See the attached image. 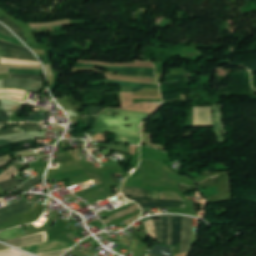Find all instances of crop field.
I'll return each instance as SVG.
<instances>
[{"instance_id": "crop-field-1", "label": "crop field", "mask_w": 256, "mask_h": 256, "mask_svg": "<svg viewBox=\"0 0 256 256\" xmlns=\"http://www.w3.org/2000/svg\"><path fill=\"white\" fill-rule=\"evenodd\" d=\"M149 116L133 111L107 110L98 117V132L117 134L115 142L138 145L140 124Z\"/></svg>"}, {"instance_id": "crop-field-2", "label": "crop field", "mask_w": 256, "mask_h": 256, "mask_svg": "<svg viewBox=\"0 0 256 256\" xmlns=\"http://www.w3.org/2000/svg\"><path fill=\"white\" fill-rule=\"evenodd\" d=\"M46 206L35 203L34 207L26 213L18 216L5 218L0 220V231L23 224L33 223L38 220Z\"/></svg>"}, {"instance_id": "crop-field-3", "label": "crop field", "mask_w": 256, "mask_h": 256, "mask_svg": "<svg viewBox=\"0 0 256 256\" xmlns=\"http://www.w3.org/2000/svg\"><path fill=\"white\" fill-rule=\"evenodd\" d=\"M149 191L144 190L143 198L134 197L131 200L136 201L142 208H154V207H176L185 208L184 201H165L158 199H148Z\"/></svg>"}, {"instance_id": "crop-field-4", "label": "crop field", "mask_w": 256, "mask_h": 256, "mask_svg": "<svg viewBox=\"0 0 256 256\" xmlns=\"http://www.w3.org/2000/svg\"><path fill=\"white\" fill-rule=\"evenodd\" d=\"M45 87V82L25 81L8 79L5 80L4 88H16L39 93Z\"/></svg>"}, {"instance_id": "crop-field-5", "label": "crop field", "mask_w": 256, "mask_h": 256, "mask_svg": "<svg viewBox=\"0 0 256 256\" xmlns=\"http://www.w3.org/2000/svg\"><path fill=\"white\" fill-rule=\"evenodd\" d=\"M213 125L211 107H193V126Z\"/></svg>"}, {"instance_id": "crop-field-6", "label": "crop field", "mask_w": 256, "mask_h": 256, "mask_svg": "<svg viewBox=\"0 0 256 256\" xmlns=\"http://www.w3.org/2000/svg\"><path fill=\"white\" fill-rule=\"evenodd\" d=\"M34 203L35 202L20 201L12 206L2 208L0 209V219L29 211Z\"/></svg>"}, {"instance_id": "crop-field-7", "label": "crop field", "mask_w": 256, "mask_h": 256, "mask_svg": "<svg viewBox=\"0 0 256 256\" xmlns=\"http://www.w3.org/2000/svg\"><path fill=\"white\" fill-rule=\"evenodd\" d=\"M192 221L191 217H184L182 228V244L181 253L190 251L191 233H192Z\"/></svg>"}, {"instance_id": "crop-field-8", "label": "crop field", "mask_w": 256, "mask_h": 256, "mask_svg": "<svg viewBox=\"0 0 256 256\" xmlns=\"http://www.w3.org/2000/svg\"><path fill=\"white\" fill-rule=\"evenodd\" d=\"M43 235H44V242H45L47 241V235L45 232L43 233ZM43 235L42 234L37 236L30 235V236H26V237H22V238L10 240V241H5V242L11 245H14L16 247H21V246L43 242Z\"/></svg>"}, {"instance_id": "crop-field-9", "label": "crop field", "mask_w": 256, "mask_h": 256, "mask_svg": "<svg viewBox=\"0 0 256 256\" xmlns=\"http://www.w3.org/2000/svg\"><path fill=\"white\" fill-rule=\"evenodd\" d=\"M11 74L44 75L41 66L10 65Z\"/></svg>"}, {"instance_id": "crop-field-10", "label": "crop field", "mask_w": 256, "mask_h": 256, "mask_svg": "<svg viewBox=\"0 0 256 256\" xmlns=\"http://www.w3.org/2000/svg\"><path fill=\"white\" fill-rule=\"evenodd\" d=\"M0 57L14 58L21 60H37L33 54L18 52L0 47Z\"/></svg>"}, {"instance_id": "crop-field-11", "label": "crop field", "mask_w": 256, "mask_h": 256, "mask_svg": "<svg viewBox=\"0 0 256 256\" xmlns=\"http://www.w3.org/2000/svg\"><path fill=\"white\" fill-rule=\"evenodd\" d=\"M183 216H173V245L181 243V228Z\"/></svg>"}, {"instance_id": "crop-field-12", "label": "crop field", "mask_w": 256, "mask_h": 256, "mask_svg": "<svg viewBox=\"0 0 256 256\" xmlns=\"http://www.w3.org/2000/svg\"><path fill=\"white\" fill-rule=\"evenodd\" d=\"M35 130H40L39 124L25 123V124H21V127L14 128L2 133L4 135V134H10V133L29 132V131H35Z\"/></svg>"}, {"instance_id": "crop-field-13", "label": "crop field", "mask_w": 256, "mask_h": 256, "mask_svg": "<svg viewBox=\"0 0 256 256\" xmlns=\"http://www.w3.org/2000/svg\"><path fill=\"white\" fill-rule=\"evenodd\" d=\"M116 72L120 75H125V76H134V77H145V78H156L154 76V73H149V72H138V71H120V70H109Z\"/></svg>"}, {"instance_id": "crop-field-14", "label": "crop field", "mask_w": 256, "mask_h": 256, "mask_svg": "<svg viewBox=\"0 0 256 256\" xmlns=\"http://www.w3.org/2000/svg\"><path fill=\"white\" fill-rule=\"evenodd\" d=\"M20 184H21L20 179L15 180V179L11 178L10 180H8L6 182L0 183V187L5 193H7L9 191H12V190L18 188L20 186Z\"/></svg>"}, {"instance_id": "crop-field-15", "label": "crop field", "mask_w": 256, "mask_h": 256, "mask_svg": "<svg viewBox=\"0 0 256 256\" xmlns=\"http://www.w3.org/2000/svg\"><path fill=\"white\" fill-rule=\"evenodd\" d=\"M1 21H3L5 24H7L24 42L28 41L23 35H25V33L23 32V30L18 27L16 24H14L13 22H11L10 20H8L6 17H1L0 18Z\"/></svg>"}, {"instance_id": "crop-field-16", "label": "crop field", "mask_w": 256, "mask_h": 256, "mask_svg": "<svg viewBox=\"0 0 256 256\" xmlns=\"http://www.w3.org/2000/svg\"><path fill=\"white\" fill-rule=\"evenodd\" d=\"M161 219L155 220V231L158 242L162 243V235H163V216H160Z\"/></svg>"}, {"instance_id": "crop-field-17", "label": "crop field", "mask_w": 256, "mask_h": 256, "mask_svg": "<svg viewBox=\"0 0 256 256\" xmlns=\"http://www.w3.org/2000/svg\"><path fill=\"white\" fill-rule=\"evenodd\" d=\"M101 145L103 148H106L108 150L129 154V147H126L125 145L119 144V146H117V145L103 144V143H101Z\"/></svg>"}, {"instance_id": "crop-field-18", "label": "crop field", "mask_w": 256, "mask_h": 256, "mask_svg": "<svg viewBox=\"0 0 256 256\" xmlns=\"http://www.w3.org/2000/svg\"><path fill=\"white\" fill-rule=\"evenodd\" d=\"M122 192L125 195V197H128V196L142 197L143 190L138 188H122Z\"/></svg>"}, {"instance_id": "crop-field-19", "label": "crop field", "mask_w": 256, "mask_h": 256, "mask_svg": "<svg viewBox=\"0 0 256 256\" xmlns=\"http://www.w3.org/2000/svg\"><path fill=\"white\" fill-rule=\"evenodd\" d=\"M1 63L20 64V65H40L39 62L20 61V60H13V59H1Z\"/></svg>"}, {"instance_id": "crop-field-20", "label": "crop field", "mask_w": 256, "mask_h": 256, "mask_svg": "<svg viewBox=\"0 0 256 256\" xmlns=\"http://www.w3.org/2000/svg\"><path fill=\"white\" fill-rule=\"evenodd\" d=\"M97 65H76L75 68H83V67H96ZM107 69H124V70H138V71H149L154 72L155 69H142V68H115V67H107Z\"/></svg>"}, {"instance_id": "crop-field-21", "label": "crop field", "mask_w": 256, "mask_h": 256, "mask_svg": "<svg viewBox=\"0 0 256 256\" xmlns=\"http://www.w3.org/2000/svg\"><path fill=\"white\" fill-rule=\"evenodd\" d=\"M46 115L30 113L29 119L20 118L21 121H32V122H41V120H45Z\"/></svg>"}, {"instance_id": "crop-field-22", "label": "crop field", "mask_w": 256, "mask_h": 256, "mask_svg": "<svg viewBox=\"0 0 256 256\" xmlns=\"http://www.w3.org/2000/svg\"><path fill=\"white\" fill-rule=\"evenodd\" d=\"M106 84H115V85H132V86H140V87H147V88H155L159 89L158 86L154 85H144V84H133V83H123V82H114V81H106Z\"/></svg>"}, {"instance_id": "crop-field-23", "label": "crop field", "mask_w": 256, "mask_h": 256, "mask_svg": "<svg viewBox=\"0 0 256 256\" xmlns=\"http://www.w3.org/2000/svg\"><path fill=\"white\" fill-rule=\"evenodd\" d=\"M17 173L18 172L16 171V169L14 167H11L8 171H6L3 175L0 176V182L10 179Z\"/></svg>"}, {"instance_id": "crop-field-24", "label": "crop field", "mask_w": 256, "mask_h": 256, "mask_svg": "<svg viewBox=\"0 0 256 256\" xmlns=\"http://www.w3.org/2000/svg\"><path fill=\"white\" fill-rule=\"evenodd\" d=\"M147 229V235L151 237L152 239H156L155 233H154V227H153V221L152 219L144 223Z\"/></svg>"}, {"instance_id": "crop-field-25", "label": "crop field", "mask_w": 256, "mask_h": 256, "mask_svg": "<svg viewBox=\"0 0 256 256\" xmlns=\"http://www.w3.org/2000/svg\"><path fill=\"white\" fill-rule=\"evenodd\" d=\"M41 181L39 178H34L30 180L23 188L19 189L17 192H28L30 188H32L36 183Z\"/></svg>"}, {"instance_id": "crop-field-26", "label": "crop field", "mask_w": 256, "mask_h": 256, "mask_svg": "<svg viewBox=\"0 0 256 256\" xmlns=\"http://www.w3.org/2000/svg\"><path fill=\"white\" fill-rule=\"evenodd\" d=\"M21 255H27V254L21 253L15 249L0 252V256H21Z\"/></svg>"}, {"instance_id": "crop-field-27", "label": "crop field", "mask_w": 256, "mask_h": 256, "mask_svg": "<svg viewBox=\"0 0 256 256\" xmlns=\"http://www.w3.org/2000/svg\"><path fill=\"white\" fill-rule=\"evenodd\" d=\"M162 199L166 200H182L180 199L176 193H168V192H162Z\"/></svg>"}, {"instance_id": "crop-field-28", "label": "crop field", "mask_w": 256, "mask_h": 256, "mask_svg": "<svg viewBox=\"0 0 256 256\" xmlns=\"http://www.w3.org/2000/svg\"><path fill=\"white\" fill-rule=\"evenodd\" d=\"M10 78H21V79H27V80H43V76L10 75Z\"/></svg>"}, {"instance_id": "crop-field-29", "label": "crop field", "mask_w": 256, "mask_h": 256, "mask_svg": "<svg viewBox=\"0 0 256 256\" xmlns=\"http://www.w3.org/2000/svg\"><path fill=\"white\" fill-rule=\"evenodd\" d=\"M172 240V216H168V242L167 245L171 246Z\"/></svg>"}, {"instance_id": "crop-field-30", "label": "crop field", "mask_w": 256, "mask_h": 256, "mask_svg": "<svg viewBox=\"0 0 256 256\" xmlns=\"http://www.w3.org/2000/svg\"><path fill=\"white\" fill-rule=\"evenodd\" d=\"M0 46H5V47H8V48H12V49H15V50H21V51H24V52H28L29 51L28 49H27L28 50L27 51L26 49H23L21 47L15 46L13 44H10V43H7V42L1 41V40H0Z\"/></svg>"}, {"instance_id": "crop-field-31", "label": "crop field", "mask_w": 256, "mask_h": 256, "mask_svg": "<svg viewBox=\"0 0 256 256\" xmlns=\"http://www.w3.org/2000/svg\"><path fill=\"white\" fill-rule=\"evenodd\" d=\"M0 39L1 40H5V41H9V42H12V43H15V44H18L20 46H23V44L20 41L14 39V38L8 37L6 35H3V34H0Z\"/></svg>"}, {"instance_id": "crop-field-32", "label": "crop field", "mask_w": 256, "mask_h": 256, "mask_svg": "<svg viewBox=\"0 0 256 256\" xmlns=\"http://www.w3.org/2000/svg\"><path fill=\"white\" fill-rule=\"evenodd\" d=\"M121 92H135L141 88L138 87H126V86H120Z\"/></svg>"}, {"instance_id": "crop-field-33", "label": "crop field", "mask_w": 256, "mask_h": 256, "mask_svg": "<svg viewBox=\"0 0 256 256\" xmlns=\"http://www.w3.org/2000/svg\"><path fill=\"white\" fill-rule=\"evenodd\" d=\"M69 250V249H68ZM67 250L64 251H57V252H50V253H45V254H40L41 256H61L64 254Z\"/></svg>"}, {"instance_id": "crop-field-34", "label": "crop field", "mask_w": 256, "mask_h": 256, "mask_svg": "<svg viewBox=\"0 0 256 256\" xmlns=\"http://www.w3.org/2000/svg\"><path fill=\"white\" fill-rule=\"evenodd\" d=\"M167 241V215L164 216V240L163 243L166 244Z\"/></svg>"}, {"instance_id": "crop-field-35", "label": "crop field", "mask_w": 256, "mask_h": 256, "mask_svg": "<svg viewBox=\"0 0 256 256\" xmlns=\"http://www.w3.org/2000/svg\"><path fill=\"white\" fill-rule=\"evenodd\" d=\"M7 113L4 112V111H0V116H6ZM2 122H10V118L9 116H6V117H0V123Z\"/></svg>"}, {"instance_id": "crop-field-36", "label": "crop field", "mask_w": 256, "mask_h": 256, "mask_svg": "<svg viewBox=\"0 0 256 256\" xmlns=\"http://www.w3.org/2000/svg\"><path fill=\"white\" fill-rule=\"evenodd\" d=\"M2 26H3V25H2ZM2 26L0 25V32H1V33L6 34V35H9V36H11V37H14L13 35H11L12 33H11L10 31H9V32H10L11 34H10L4 27H2ZM14 38H15V37H14Z\"/></svg>"}, {"instance_id": "crop-field-37", "label": "crop field", "mask_w": 256, "mask_h": 256, "mask_svg": "<svg viewBox=\"0 0 256 256\" xmlns=\"http://www.w3.org/2000/svg\"><path fill=\"white\" fill-rule=\"evenodd\" d=\"M110 176L116 182L117 185L121 184L120 180L117 178V176L114 173H111Z\"/></svg>"}, {"instance_id": "crop-field-38", "label": "crop field", "mask_w": 256, "mask_h": 256, "mask_svg": "<svg viewBox=\"0 0 256 256\" xmlns=\"http://www.w3.org/2000/svg\"><path fill=\"white\" fill-rule=\"evenodd\" d=\"M11 142L5 141V140H0V146L10 144Z\"/></svg>"}, {"instance_id": "crop-field-39", "label": "crop field", "mask_w": 256, "mask_h": 256, "mask_svg": "<svg viewBox=\"0 0 256 256\" xmlns=\"http://www.w3.org/2000/svg\"><path fill=\"white\" fill-rule=\"evenodd\" d=\"M6 163H5V161L3 160V158H0V167L1 166H3V165H5Z\"/></svg>"}, {"instance_id": "crop-field-40", "label": "crop field", "mask_w": 256, "mask_h": 256, "mask_svg": "<svg viewBox=\"0 0 256 256\" xmlns=\"http://www.w3.org/2000/svg\"><path fill=\"white\" fill-rule=\"evenodd\" d=\"M9 247L3 246L0 244V250L8 249Z\"/></svg>"}, {"instance_id": "crop-field-41", "label": "crop field", "mask_w": 256, "mask_h": 256, "mask_svg": "<svg viewBox=\"0 0 256 256\" xmlns=\"http://www.w3.org/2000/svg\"><path fill=\"white\" fill-rule=\"evenodd\" d=\"M157 217H159V216H157ZM151 218H156V217H151ZM151 218H146V219H143V220H141V221L144 222V221H146V220H148V219H151Z\"/></svg>"}, {"instance_id": "crop-field-42", "label": "crop field", "mask_w": 256, "mask_h": 256, "mask_svg": "<svg viewBox=\"0 0 256 256\" xmlns=\"http://www.w3.org/2000/svg\"><path fill=\"white\" fill-rule=\"evenodd\" d=\"M3 127H4V125H0V129H4ZM0 135H2L1 131H0Z\"/></svg>"}, {"instance_id": "crop-field-43", "label": "crop field", "mask_w": 256, "mask_h": 256, "mask_svg": "<svg viewBox=\"0 0 256 256\" xmlns=\"http://www.w3.org/2000/svg\"><path fill=\"white\" fill-rule=\"evenodd\" d=\"M141 234V233H140ZM143 237H144V239L146 238V236H144L143 234H141Z\"/></svg>"}, {"instance_id": "crop-field-44", "label": "crop field", "mask_w": 256, "mask_h": 256, "mask_svg": "<svg viewBox=\"0 0 256 256\" xmlns=\"http://www.w3.org/2000/svg\"><path fill=\"white\" fill-rule=\"evenodd\" d=\"M0 109H3L2 106H1V104H0Z\"/></svg>"}, {"instance_id": "crop-field-45", "label": "crop field", "mask_w": 256, "mask_h": 256, "mask_svg": "<svg viewBox=\"0 0 256 256\" xmlns=\"http://www.w3.org/2000/svg\"><path fill=\"white\" fill-rule=\"evenodd\" d=\"M0 174H2L1 171H0Z\"/></svg>"}]
</instances>
